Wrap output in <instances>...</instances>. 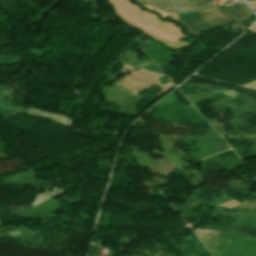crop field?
Instances as JSON below:
<instances>
[{"label": "crop field", "instance_id": "crop-field-1", "mask_svg": "<svg viewBox=\"0 0 256 256\" xmlns=\"http://www.w3.org/2000/svg\"><path fill=\"white\" fill-rule=\"evenodd\" d=\"M179 20L189 27L188 32L198 35L201 31L225 25L233 21L244 23L253 15L240 4L225 10L200 14L198 10L178 13Z\"/></svg>", "mask_w": 256, "mask_h": 256}, {"label": "crop field", "instance_id": "crop-field-2", "mask_svg": "<svg viewBox=\"0 0 256 256\" xmlns=\"http://www.w3.org/2000/svg\"><path fill=\"white\" fill-rule=\"evenodd\" d=\"M166 12L214 7V0H143Z\"/></svg>", "mask_w": 256, "mask_h": 256}, {"label": "crop field", "instance_id": "crop-field-3", "mask_svg": "<svg viewBox=\"0 0 256 256\" xmlns=\"http://www.w3.org/2000/svg\"><path fill=\"white\" fill-rule=\"evenodd\" d=\"M146 7L149 8V9L156 10L157 12H159L161 14L162 18H165L166 14H167V13H163V12H161V11H159V10L149 6V5H147Z\"/></svg>", "mask_w": 256, "mask_h": 256}, {"label": "crop field", "instance_id": "crop-field-4", "mask_svg": "<svg viewBox=\"0 0 256 256\" xmlns=\"http://www.w3.org/2000/svg\"><path fill=\"white\" fill-rule=\"evenodd\" d=\"M135 1L141 2L143 7L146 5V4L143 3L141 0H135Z\"/></svg>", "mask_w": 256, "mask_h": 256}, {"label": "crop field", "instance_id": "crop-field-5", "mask_svg": "<svg viewBox=\"0 0 256 256\" xmlns=\"http://www.w3.org/2000/svg\"><path fill=\"white\" fill-rule=\"evenodd\" d=\"M214 9H216V8H214ZM209 10H213V9H208V10H200V11H201V13H202V12H206V11H209Z\"/></svg>", "mask_w": 256, "mask_h": 256}, {"label": "crop field", "instance_id": "crop-field-6", "mask_svg": "<svg viewBox=\"0 0 256 256\" xmlns=\"http://www.w3.org/2000/svg\"><path fill=\"white\" fill-rule=\"evenodd\" d=\"M248 1H253V0H248Z\"/></svg>", "mask_w": 256, "mask_h": 256}]
</instances>
